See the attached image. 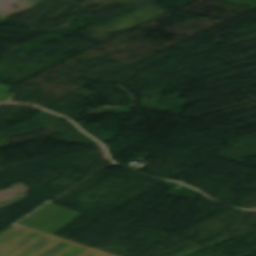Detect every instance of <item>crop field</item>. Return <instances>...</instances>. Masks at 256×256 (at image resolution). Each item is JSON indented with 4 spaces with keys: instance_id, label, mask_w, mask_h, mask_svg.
I'll use <instances>...</instances> for the list:
<instances>
[{
    "instance_id": "crop-field-2",
    "label": "crop field",
    "mask_w": 256,
    "mask_h": 256,
    "mask_svg": "<svg viewBox=\"0 0 256 256\" xmlns=\"http://www.w3.org/2000/svg\"><path fill=\"white\" fill-rule=\"evenodd\" d=\"M80 215L81 213L48 203L19 224L53 234Z\"/></svg>"
},
{
    "instance_id": "crop-field-1",
    "label": "crop field",
    "mask_w": 256,
    "mask_h": 256,
    "mask_svg": "<svg viewBox=\"0 0 256 256\" xmlns=\"http://www.w3.org/2000/svg\"><path fill=\"white\" fill-rule=\"evenodd\" d=\"M0 256L116 255L17 224L0 236Z\"/></svg>"
}]
</instances>
